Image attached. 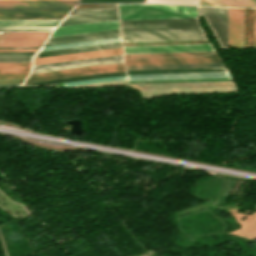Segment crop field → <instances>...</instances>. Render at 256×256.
Wrapping results in <instances>:
<instances>
[{"mask_svg": "<svg viewBox=\"0 0 256 256\" xmlns=\"http://www.w3.org/2000/svg\"><path fill=\"white\" fill-rule=\"evenodd\" d=\"M61 20L0 21V27L57 26Z\"/></svg>", "mask_w": 256, "mask_h": 256, "instance_id": "18", "label": "crop field"}, {"mask_svg": "<svg viewBox=\"0 0 256 256\" xmlns=\"http://www.w3.org/2000/svg\"><path fill=\"white\" fill-rule=\"evenodd\" d=\"M31 63H0V69H30Z\"/></svg>", "mask_w": 256, "mask_h": 256, "instance_id": "30", "label": "crop field"}, {"mask_svg": "<svg viewBox=\"0 0 256 256\" xmlns=\"http://www.w3.org/2000/svg\"><path fill=\"white\" fill-rule=\"evenodd\" d=\"M253 47H256V9H254Z\"/></svg>", "mask_w": 256, "mask_h": 256, "instance_id": "36", "label": "crop field"}, {"mask_svg": "<svg viewBox=\"0 0 256 256\" xmlns=\"http://www.w3.org/2000/svg\"><path fill=\"white\" fill-rule=\"evenodd\" d=\"M125 66L221 62L217 54L203 57L124 59Z\"/></svg>", "mask_w": 256, "mask_h": 256, "instance_id": "7", "label": "crop field"}, {"mask_svg": "<svg viewBox=\"0 0 256 256\" xmlns=\"http://www.w3.org/2000/svg\"><path fill=\"white\" fill-rule=\"evenodd\" d=\"M115 58H123V56H122V55H118V56H110V57H102V58H94V59L78 60V61H69V62H61V63H53V64L37 65V66H33L32 68H36V67H44V66H51V65H59V64H66V63H74V62H81V61H89V60L115 59Z\"/></svg>", "mask_w": 256, "mask_h": 256, "instance_id": "31", "label": "crop field"}, {"mask_svg": "<svg viewBox=\"0 0 256 256\" xmlns=\"http://www.w3.org/2000/svg\"><path fill=\"white\" fill-rule=\"evenodd\" d=\"M78 0L0 1V11L71 10Z\"/></svg>", "mask_w": 256, "mask_h": 256, "instance_id": "3", "label": "crop field"}, {"mask_svg": "<svg viewBox=\"0 0 256 256\" xmlns=\"http://www.w3.org/2000/svg\"><path fill=\"white\" fill-rule=\"evenodd\" d=\"M1 87H6V86H0V88H1Z\"/></svg>", "mask_w": 256, "mask_h": 256, "instance_id": "43", "label": "crop field"}, {"mask_svg": "<svg viewBox=\"0 0 256 256\" xmlns=\"http://www.w3.org/2000/svg\"><path fill=\"white\" fill-rule=\"evenodd\" d=\"M118 19L117 10L67 16L61 26L77 25Z\"/></svg>", "mask_w": 256, "mask_h": 256, "instance_id": "15", "label": "crop field"}, {"mask_svg": "<svg viewBox=\"0 0 256 256\" xmlns=\"http://www.w3.org/2000/svg\"><path fill=\"white\" fill-rule=\"evenodd\" d=\"M199 5L256 7V0H200Z\"/></svg>", "mask_w": 256, "mask_h": 256, "instance_id": "20", "label": "crop field"}, {"mask_svg": "<svg viewBox=\"0 0 256 256\" xmlns=\"http://www.w3.org/2000/svg\"><path fill=\"white\" fill-rule=\"evenodd\" d=\"M216 71H227V69L226 67H213V68L138 70V71H126V73L127 75H139V74H165V73L216 72Z\"/></svg>", "mask_w": 256, "mask_h": 256, "instance_id": "17", "label": "crop field"}, {"mask_svg": "<svg viewBox=\"0 0 256 256\" xmlns=\"http://www.w3.org/2000/svg\"><path fill=\"white\" fill-rule=\"evenodd\" d=\"M119 80H126V76L107 77V78H99V79H92V80L76 81V82L62 83V85H63V87H67V86H75V85L107 82V81H119Z\"/></svg>", "mask_w": 256, "mask_h": 256, "instance_id": "25", "label": "crop field"}, {"mask_svg": "<svg viewBox=\"0 0 256 256\" xmlns=\"http://www.w3.org/2000/svg\"><path fill=\"white\" fill-rule=\"evenodd\" d=\"M118 75H126V73L118 72V73L92 74V75L70 77V78H63V79H56V80H49V81H42V82L27 83V84L47 85V84L61 83V82H67V81H76V80H84V79L107 77V76H118Z\"/></svg>", "mask_w": 256, "mask_h": 256, "instance_id": "22", "label": "crop field"}, {"mask_svg": "<svg viewBox=\"0 0 256 256\" xmlns=\"http://www.w3.org/2000/svg\"><path fill=\"white\" fill-rule=\"evenodd\" d=\"M120 20L197 17V7L118 4Z\"/></svg>", "mask_w": 256, "mask_h": 256, "instance_id": "2", "label": "crop field"}, {"mask_svg": "<svg viewBox=\"0 0 256 256\" xmlns=\"http://www.w3.org/2000/svg\"><path fill=\"white\" fill-rule=\"evenodd\" d=\"M21 83H0V85H19Z\"/></svg>", "mask_w": 256, "mask_h": 256, "instance_id": "39", "label": "crop field"}, {"mask_svg": "<svg viewBox=\"0 0 256 256\" xmlns=\"http://www.w3.org/2000/svg\"><path fill=\"white\" fill-rule=\"evenodd\" d=\"M244 9L229 8L228 47L243 48Z\"/></svg>", "mask_w": 256, "mask_h": 256, "instance_id": "10", "label": "crop field"}, {"mask_svg": "<svg viewBox=\"0 0 256 256\" xmlns=\"http://www.w3.org/2000/svg\"><path fill=\"white\" fill-rule=\"evenodd\" d=\"M69 11H21L0 12V20L15 19H63Z\"/></svg>", "mask_w": 256, "mask_h": 256, "instance_id": "13", "label": "crop field"}, {"mask_svg": "<svg viewBox=\"0 0 256 256\" xmlns=\"http://www.w3.org/2000/svg\"><path fill=\"white\" fill-rule=\"evenodd\" d=\"M35 52H3L0 56L4 55H34Z\"/></svg>", "mask_w": 256, "mask_h": 256, "instance_id": "35", "label": "crop field"}, {"mask_svg": "<svg viewBox=\"0 0 256 256\" xmlns=\"http://www.w3.org/2000/svg\"><path fill=\"white\" fill-rule=\"evenodd\" d=\"M55 27L0 28V31L53 30Z\"/></svg>", "mask_w": 256, "mask_h": 256, "instance_id": "32", "label": "crop field"}, {"mask_svg": "<svg viewBox=\"0 0 256 256\" xmlns=\"http://www.w3.org/2000/svg\"><path fill=\"white\" fill-rule=\"evenodd\" d=\"M118 47H122L121 43L84 47V48H76V49H68V50L51 51V52H43V53H38L35 56V58L54 56V55H62V54H70V53H78V52H86V51H94V50H102V49H110V48H118Z\"/></svg>", "mask_w": 256, "mask_h": 256, "instance_id": "19", "label": "crop field"}, {"mask_svg": "<svg viewBox=\"0 0 256 256\" xmlns=\"http://www.w3.org/2000/svg\"><path fill=\"white\" fill-rule=\"evenodd\" d=\"M119 29L118 20L57 28L50 37Z\"/></svg>", "mask_w": 256, "mask_h": 256, "instance_id": "11", "label": "crop field"}, {"mask_svg": "<svg viewBox=\"0 0 256 256\" xmlns=\"http://www.w3.org/2000/svg\"><path fill=\"white\" fill-rule=\"evenodd\" d=\"M0 80H24V79H0Z\"/></svg>", "mask_w": 256, "mask_h": 256, "instance_id": "41", "label": "crop field"}, {"mask_svg": "<svg viewBox=\"0 0 256 256\" xmlns=\"http://www.w3.org/2000/svg\"><path fill=\"white\" fill-rule=\"evenodd\" d=\"M117 9L116 4L73 9L69 15Z\"/></svg>", "mask_w": 256, "mask_h": 256, "instance_id": "26", "label": "crop field"}, {"mask_svg": "<svg viewBox=\"0 0 256 256\" xmlns=\"http://www.w3.org/2000/svg\"><path fill=\"white\" fill-rule=\"evenodd\" d=\"M213 66H224V64L223 63H210V64H186V65L137 66V67H125V68H126V70H138V69L213 67Z\"/></svg>", "mask_w": 256, "mask_h": 256, "instance_id": "23", "label": "crop field"}, {"mask_svg": "<svg viewBox=\"0 0 256 256\" xmlns=\"http://www.w3.org/2000/svg\"><path fill=\"white\" fill-rule=\"evenodd\" d=\"M33 56H7L0 57V62H31Z\"/></svg>", "mask_w": 256, "mask_h": 256, "instance_id": "29", "label": "crop field"}, {"mask_svg": "<svg viewBox=\"0 0 256 256\" xmlns=\"http://www.w3.org/2000/svg\"><path fill=\"white\" fill-rule=\"evenodd\" d=\"M6 48H39V47H6ZM0 49H4V48H0Z\"/></svg>", "mask_w": 256, "mask_h": 256, "instance_id": "40", "label": "crop field"}, {"mask_svg": "<svg viewBox=\"0 0 256 256\" xmlns=\"http://www.w3.org/2000/svg\"><path fill=\"white\" fill-rule=\"evenodd\" d=\"M0 51H37V49H5Z\"/></svg>", "mask_w": 256, "mask_h": 256, "instance_id": "37", "label": "crop field"}, {"mask_svg": "<svg viewBox=\"0 0 256 256\" xmlns=\"http://www.w3.org/2000/svg\"><path fill=\"white\" fill-rule=\"evenodd\" d=\"M0 82H21V81H0Z\"/></svg>", "mask_w": 256, "mask_h": 256, "instance_id": "42", "label": "crop field"}, {"mask_svg": "<svg viewBox=\"0 0 256 256\" xmlns=\"http://www.w3.org/2000/svg\"><path fill=\"white\" fill-rule=\"evenodd\" d=\"M120 37L119 30L48 38L44 46Z\"/></svg>", "mask_w": 256, "mask_h": 256, "instance_id": "12", "label": "crop field"}, {"mask_svg": "<svg viewBox=\"0 0 256 256\" xmlns=\"http://www.w3.org/2000/svg\"><path fill=\"white\" fill-rule=\"evenodd\" d=\"M125 54L213 51L210 44L124 47Z\"/></svg>", "mask_w": 256, "mask_h": 256, "instance_id": "8", "label": "crop field"}, {"mask_svg": "<svg viewBox=\"0 0 256 256\" xmlns=\"http://www.w3.org/2000/svg\"><path fill=\"white\" fill-rule=\"evenodd\" d=\"M51 32L3 33L0 47L41 46Z\"/></svg>", "mask_w": 256, "mask_h": 256, "instance_id": "9", "label": "crop field"}, {"mask_svg": "<svg viewBox=\"0 0 256 256\" xmlns=\"http://www.w3.org/2000/svg\"><path fill=\"white\" fill-rule=\"evenodd\" d=\"M146 2L197 5L198 0H146Z\"/></svg>", "mask_w": 256, "mask_h": 256, "instance_id": "28", "label": "crop field"}, {"mask_svg": "<svg viewBox=\"0 0 256 256\" xmlns=\"http://www.w3.org/2000/svg\"><path fill=\"white\" fill-rule=\"evenodd\" d=\"M0 78H26V76H0Z\"/></svg>", "mask_w": 256, "mask_h": 256, "instance_id": "38", "label": "crop field"}, {"mask_svg": "<svg viewBox=\"0 0 256 256\" xmlns=\"http://www.w3.org/2000/svg\"><path fill=\"white\" fill-rule=\"evenodd\" d=\"M118 71H125L123 64L90 66V67H83V68H76V69H69V70H62V71L33 74V75H29L25 83L77 76V75L92 74V73L118 72Z\"/></svg>", "mask_w": 256, "mask_h": 256, "instance_id": "5", "label": "crop field"}, {"mask_svg": "<svg viewBox=\"0 0 256 256\" xmlns=\"http://www.w3.org/2000/svg\"><path fill=\"white\" fill-rule=\"evenodd\" d=\"M118 54H122V48L103 50V51H95V52H87V53H79V54H71V55H63V56H55V57H47V58H39V59L34 60L33 65L61 62V61H69V60H77V59L94 58V57H102V56H110V55H118Z\"/></svg>", "mask_w": 256, "mask_h": 256, "instance_id": "16", "label": "crop field"}, {"mask_svg": "<svg viewBox=\"0 0 256 256\" xmlns=\"http://www.w3.org/2000/svg\"><path fill=\"white\" fill-rule=\"evenodd\" d=\"M231 77L229 72L127 76L128 81Z\"/></svg>", "mask_w": 256, "mask_h": 256, "instance_id": "14", "label": "crop field"}, {"mask_svg": "<svg viewBox=\"0 0 256 256\" xmlns=\"http://www.w3.org/2000/svg\"><path fill=\"white\" fill-rule=\"evenodd\" d=\"M121 42L120 38L42 47L40 52Z\"/></svg>", "mask_w": 256, "mask_h": 256, "instance_id": "21", "label": "crop field"}, {"mask_svg": "<svg viewBox=\"0 0 256 256\" xmlns=\"http://www.w3.org/2000/svg\"><path fill=\"white\" fill-rule=\"evenodd\" d=\"M116 63H123V61L122 60H114V61L89 62V63H81V64H74V65L44 68V69H36V70H32L31 74L40 73V72H47V71H54V70H61V69L83 67V66H90V65L116 64Z\"/></svg>", "mask_w": 256, "mask_h": 256, "instance_id": "24", "label": "crop field"}, {"mask_svg": "<svg viewBox=\"0 0 256 256\" xmlns=\"http://www.w3.org/2000/svg\"><path fill=\"white\" fill-rule=\"evenodd\" d=\"M123 43L207 40L204 33L122 35Z\"/></svg>", "mask_w": 256, "mask_h": 256, "instance_id": "6", "label": "crop field"}, {"mask_svg": "<svg viewBox=\"0 0 256 256\" xmlns=\"http://www.w3.org/2000/svg\"><path fill=\"white\" fill-rule=\"evenodd\" d=\"M122 34L203 32L197 18L120 21Z\"/></svg>", "mask_w": 256, "mask_h": 256, "instance_id": "1", "label": "crop field"}, {"mask_svg": "<svg viewBox=\"0 0 256 256\" xmlns=\"http://www.w3.org/2000/svg\"><path fill=\"white\" fill-rule=\"evenodd\" d=\"M207 53H211V52L125 55V58H134V57H150V56L203 55V54H207Z\"/></svg>", "mask_w": 256, "mask_h": 256, "instance_id": "27", "label": "crop field"}, {"mask_svg": "<svg viewBox=\"0 0 256 256\" xmlns=\"http://www.w3.org/2000/svg\"><path fill=\"white\" fill-rule=\"evenodd\" d=\"M144 2V0H81L80 3Z\"/></svg>", "mask_w": 256, "mask_h": 256, "instance_id": "33", "label": "crop field"}, {"mask_svg": "<svg viewBox=\"0 0 256 256\" xmlns=\"http://www.w3.org/2000/svg\"><path fill=\"white\" fill-rule=\"evenodd\" d=\"M199 15H204L221 49L227 47L228 8L199 7Z\"/></svg>", "mask_w": 256, "mask_h": 256, "instance_id": "4", "label": "crop field"}, {"mask_svg": "<svg viewBox=\"0 0 256 256\" xmlns=\"http://www.w3.org/2000/svg\"><path fill=\"white\" fill-rule=\"evenodd\" d=\"M29 70H0V75H28Z\"/></svg>", "mask_w": 256, "mask_h": 256, "instance_id": "34", "label": "crop field"}]
</instances>
